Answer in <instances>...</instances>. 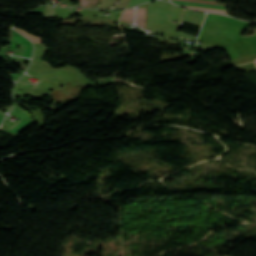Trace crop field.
I'll return each mask as SVG.
<instances>
[{"label": "crop field", "instance_id": "obj_1", "mask_svg": "<svg viewBox=\"0 0 256 256\" xmlns=\"http://www.w3.org/2000/svg\"><path fill=\"white\" fill-rule=\"evenodd\" d=\"M136 24L145 28V8L137 9Z\"/></svg>", "mask_w": 256, "mask_h": 256}, {"label": "crop field", "instance_id": "obj_2", "mask_svg": "<svg viewBox=\"0 0 256 256\" xmlns=\"http://www.w3.org/2000/svg\"><path fill=\"white\" fill-rule=\"evenodd\" d=\"M133 17H134V10L133 9H129V10L125 11V13L123 14L121 20L133 22Z\"/></svg>", "mask_w": 256, "mask_h": 256}, {"label": "crop field", "instance_id": "obj_3", "mask_svg": "<svg viewBox=\"0 0 256 256\" xmlns=\"http://www.w3.org/2000/svg\"><path fill=\"white\" fill-rule=\"evenodd\" d=\"M17 31H19L21 34L27 36L28 38H30L33 42H37V43H40V38L39 37H36V36H33L31 34H28L27 32L19 29V28H15Z\"/></svg>", "mask_w": 256, "mask_h": 256}, {"label": "crop field", "instance_id": "obj_4", "mask_svg": "<svg viewBox=\"0 0 256 256\" xmlns=\"http://www.w3.org/2000/svg\"><path fill=\"white\" fill-rule=\"evenodd\" d=\"M187 8L196 9V10H203V11H209V12H215V13H221V14H226V11H222V10L203 9V8H194V7H187Z\"/></svg>", "mask_w": 256, "mask_h": 256}, {"label": "crop field", "instance_id": "obj_5", "mask_svg": "<svg viewBox=\"0 0 256 256\" xmlns=\"http://www.w3.org/2000/svg\"><path fill=\"white\" fill-rule=\"evenodd\" d=\"M183 1H192V2H201V3L217 4L216 2L201 1V0H183ZM221 5H222V4H221Z\"/></svg>", "mask_w": 256, "mask_h": 256}]
</instances>
